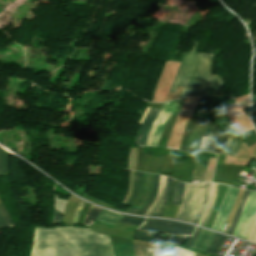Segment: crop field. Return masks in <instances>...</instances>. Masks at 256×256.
<instances>
[{"mask_svg":"<svg viewBox=\"0 0 256 256\" xmlns=\"http://www.w3.org/2000/svg\"><path fill=\"white\" fill-rule=\"evenodd\" d=\"M158 182H159V176L154 175L153 178V186H152V192H151V196L149 201L147 202V204L137 213L139 215H143L144 212L148 209V207L152 204V202L154 201L156 195H157V191H158Z\"/></svg>","mask_w":256,"mask_h":256,"instance_id":"14","label":"crop field"},{"mask_svg":"<svg viewBox=\"0 0 256 256\" xmlns=\"http://www.w3.org/2000/svg\"><path fill=\"white\" fill-rule=\"evenodd\" d=\"M250 193V192H249ZM256 215V192H251L242 210L233 236L246 238L252 221Z\"/></svg>","mask_w":256,"mask_h":256,"instance_id":"5","label":"crop field"},{"mask_svg":"<svg viewBox=\"0 0 256 256\" xmlns=\"http://www.w3.org/2000/svg\"><path fill=\"white\" fill-rule=\"evenodd\" d=\"M138 211H139V209L132 207L131 210L129 211V213L136 214Z\"/></svg>","mask_w":256,"mask_h":256,"instance_id":"32","label":"crop field"},{"mask_svg":"<svg viewBox=\"0 0 256 256\" xmlns=\"http://www.w3.org/2000/svg\"><path fill=\"white\" fill-rule=\"evenodd\" d=\"M184 186H185L184 183H181V182H178V181L176 182V185H175L176 188H175V191H174V196H173L172 203L180 205L182 195H183V191H184Z\"/></svg>","mask_w":256,"mask_h":256,"instance_id":"18","label":"crop field"},{"mask_svg":"<svg viewBox=\"0 0 256 256\" xmlns=\"http://www.w3.org/2000/svg\"><path fill=\"white\" fill-rule=\"evenodd\" d=\"M224 239L225 236L216 233V235L211 240L209 246L206 248L205 252L215 254V252L217 251V249L219 248Z\"/></svg>","mask_w":256,"mask_h":256,"instance_id":"15","label":"crop field"},{"mask_svg":"<svg viewBox=\"0 0 256 256\" xmlns=\"http://www.w3.org/2000/svg\"><path fill=\"white\" fill-rule=\"evenodd\" d=\"M246 240L256 242V217H255L254 222L250 228V231H249V234H248Z\"/></svg>","mask_w":256,"mask_h":256,"instance_id":"23","label":"crop field"},{"mask_svg":"<svg viewBox=\"0 0 256 256\" xmlns=\"http://www.w3.org/2000/svg\"><path fill=\"white\" fill-rule=\"evenodd\" d=\"M228 137V135L223 134L222 131L214 124L210 132L205 150L222 154Z\"/></svg>","mask_w":256,"mask_h":256,"instance_id":"7","label":"crop field"},{"mask_svg":"<svg viewBox=\"0 0 256 256\" xmlns=\"http://www.w3.org/2000/svg\"><path fill=\"white\" fill-rule=\"evenodd\" d=\"M148 109L149 108L146 109V111L140 121V124H141L144 116L146 115ZM157 113H158V110L150 108L146 117L144 118V120L138 130V133L136 135V140L134 142V143L138 144L139 147H144L147 131H148L152 121L154 120L155 116L157 115Z\"/></svg>","mask_w":256,"mask_h":256,"instance_id":"8","label":"crop field"},{"mask_svg":"<svg viewBox=\"0 0 256 256\" xmlns=\"http://www.w3.org/2000/svg\"><path fill=\"white\" fill-rule=\"evenodd\" d=\"M217 188H218V185H216V184H213V185H212L210 202H209L207 211H206V213H205V216H204L202 222L200 223V225H202V226L205 225V223H206V221H207V219H208V217H209V214H210V212H211V209H212V207H213V204H214V202H215V200H216Z\"/></svg>","mask_w":256,"mask_h":256,"instance_id":"17","label":"crop field"},{"mask_svg":"<svg viewBox=\"0 0 256 256\" xmlns=\"http://www.w3.org/2000/svg\"><path fill=\"white\" fill-rule=\"evenodd\" d=\"M197 44L184 54L169 91L174 93L177 86H181L184 89L180 97L219 96L224 83L219 76L210 75L213 55L196 53Z\"/></svg>","mask_w":256,"mask_h":256,"instance_id":"2","label":"crop field"},{"mask_svg":"<svg viewBox=\"0 0 256 256\" xmlns=\"http://www.w3.org/2000/svg\"><path fill=\"white\" fill-rule=\"evenodd\" d=\"M176 250V256H195V252L183 249V248H178L175 247Z\"/></svg>","mask_w":256,"mask_h":256,"instance_id":"25","label":"crop field"},{"mask_svg":"<svg viewBox=\"0 0 256 256\" xmlns=\"http://www.w3.org/2000/svg\"><path fill=\"white\" fill-rule=\"evenodd\" d=\"M201 231L200 228H198L196 230V232L194 233V235L192 236V238L190 239L189 243L187 244V247H190V245L192 244V242L195 240V238L197 237V235L199 234V232Z\"/></svg>","mask_w":256,"mask_h":256,"instance_id":"30","label":"crop field"},{"mask_svg":"<svg viewBox=\"0 0 256 256\" xmlns=\"http://www.w3.org/2000/svg\"><path fill=\"white\" fill-rule=\"evenodd\" d=\"M213 124H214V123L209 122V124H208V126H207V128H206V130H205V132H204V134H203L202 141H201V144H200V147H199V148H202V149L205 148L206 141H207L209 132H210V130H211Z\"/></svg>","mask_w":256,"mask_h":256,"instance_id":"24","label":"crop field"},{"mask_svg":"<svg viewBox=\"0 0 256 256\" xmlns=\"http://www.w3.org/2000/svg\"><path fill=\"white\" fill-rule=\"evenodd\" d=\"M166 248H167V256H175L173 245L166 243Z\"/></svg>","mask_w":256,"mask_h":256,"instance_id":"29","label":"crop field"},{"mask_svg":"<svg viewBox=\"0 0 256 256\" xmlns=\"http://www.w3.org/2000/svg\"><path fill=\"white\" fill-rule=\"evenodd\" d=\"M143 175H144V173L135 172L134 182H133V190H132L130 199L126 203L127 205L133 206V204L139 198L140 192H141L142 181H143Z\"/></svg>","mask_w":256,"mask_h":256,"instance_id":"9","label":"crop field"},{"mask_svg":"<svg viewBox=\"0 0 256 256\" xmlns=\"http://www.w3.org/2000/svg\"><path fill=\"white\" fill-rule=\"evenodd\" d=\"M174 183H175V181L173 182V186H174ZM173 186H172L171 195H170L169 201H168L169 204H168V206H167V208H166V210H165V212H164V214L162 216V217L171 218V219L175 218V216L177 214V211H178V209L180 207L179 205L170 204V201H171V198H172V194H173V190H174Z\"/></svg>","mask_w":256,"mask_h":256,"instance_id":"16","label":"crop field"},{"mask_svg":"<svg viewBox=\"0 0 256 256\" xmlns=\"http://www.w3.org/2000/svg\"><path fill=\"white\" fill-rule=\"evenodd\" d=\"M172 182H173V180L168 178L166 193H165L163 199L161 200V202L159 203V205L157 206V208L151 214V216H157V217H161L162 216V214H163V212H164V210H165V208L167 206L168 196H169V192L171 190Z\"/></svg>","mask_w":256,"mask_h":256,"instance_id":"10","label":"crop field"},{"mask_svg":"<svg viewBox=\"0 0 256 256\" xmlns=\"http://www.w3.org/2000/svg\"><path fill=\"white\" fill-rule=\"evenodd\" d=\"M67 248L64 249L63 246ZM31 256H114L109 237L81 227L35 226Z\"/></svg>","mask_w":256,"mask_h":256,"instance_id":"1","label":"crop field"},{"mask_svg":"<svg viewBox=\"0 0 256 256\" xmlns=\"http://www.w3.org/2000/svg\"><path fill=\"white\" fill-rule=\"evenodd\" d=\"M166 180L167 177L165 176H160V183H159V192L158 195L155 199V201L153 202V204L149 207V209L145 212L144 215L149 216L152 211L156 208V206L158 205V203L160 202V200L162 199L164 193H165V188H166Z\"/></svg>","mask_w":256,"mask_h":256,"instance_id":"11","label":"crop field"},{"mask_svg":"<svg viewBox=\"0 0 256 256\" xmlns=\"http://www.w3.org/2000/svg\"><path fill=\"white\" fill-rule=\"evenodd\" d=\"M84 204H85V201L81 200V202L79 203L78 208H77V210L75 212L72 224H76L77 218H78V214H79L80 210L82 209V207L84 206Z\"/></svg>","mask_w":256,"mask_h":256,"instance_id":"27","label":"crop field"},{"mask_svg":"<svg viewBox=\"0 0 256 256\" xmlns=\"http://www.w3.org/2000/svg\"><path fill=\"white\" fill-rule=\"evenodd\" d=\"M248 195H249V192L246 191L245 194H244V196H243V199H242V201H241V203H240V206H239V208H238V210H237V212H236V214H235V216H234L233 223H232V225H231V227H230V229H229V232H228L229 234H232V232H233V230H234V228H235V226H236V223H237V221H238V218H239V215H240V213H241L242 207H243V205H244V203H245V201H246Z\"/></svg>","mask_w":256,"mask_h":256,"instance_id":"21","label":"crop field"},{"mask_svg":"<svg viewBox=\"0 0 256 256\" xmlns=\"http://www.w3.org/2000/svg\"><path fill=\"white\" fill-rule=\"evenodd\" d=\"M6 222L4 221L2 215L0 214V227L6 226Z\"/></svg>","mask_w":256,"mask_h":256,"instance_id":"31","label":"crop field"},{"mask_svg":"<svg viewBox=\"0 0 256 256\" xmlns=\"http://www.w3.org/2000/svg\"><path fill=\"white\" fill-rule=\"evenodd\" d=\"M194 228L192 225L181 222L147 218L139 229L190 236Z\"/></svg>","mask_w":256,"mask_h":256,"instance_id":"4","label":"crop field"},{"mask_svg":"<svg viewBox=\"0 0 256 256\" xmlns=\"http://www.w3.org/2000/svg\"><path fill=\"white\" fill-rule=\"evenodd\" d=\"M211 184H186L183 200L176 219L199 223L208 202Z\"/></svg>","mask_w":256,"mask_h":256,"instance_id":"3","label":"crop field"},{"mask_svg":"<svg viewBox=\"0 0 256 256\" xmlns=\"http://www.w3.org/2000/svg\"><path fill=\"white\" fill-rule=\"evenodd\" d=\"M239 189L228 187L227 191L225 193L224 199L221 203V206L219 208V211L217 213L216 220L212 226V229H215L217 231H222L227 218L229 216V213L232 209L234 200L236 198L237 192Z\"/></svg>","mask_w":256,"mask_h":256,"instance_id":"6","label":"crop field"},{"mask_svg":"<svg viewBox=\"0 0 256 256\" xmlns=\"http://www.w3.org/2000/svg\"><path fill=\"white\" fill-rule=\"evenodd\" d=\"M0 211H1L2 215H3V217L5 218V220L7 221L9 227L13 226L14 224L11 221V219H10L9 215L7 214L6 210L4 209L2 203H0Z\"/></svg>","mask_w":256,"mask_h":256,"instance_id":"26","label":"crop field"},{"mask_svg":"<svg viewBox=\"0 0 256 256\" xmlns=\"http://www.w3.org/2000/svg\"><path fill=\"white\" fill-rule=\"evenodd\" d=\"M155 243H156V249L145 248V247H141L133 244L134 250H135V256H159L158 242H155Z\"/></svg>","mask_w":256,"mask_h":256,"instance_id":"12","label":"crop field"},{"mask_svg":"<svg viewBox=\"0 0 256 256\" xmlns=\"http://www.w3.org/2000/svg\"><path fill=\"white\" fill-rule=\"evenodd\" d=\"M256 105V96L253 97V100H252V107Z\"/></svg>","mask_w":256,"mask_h":256,"instance_id":"33","label":"crop field"},{"mask_svg":"<svg viewBox=\"0 0 256 256\" xmlns=\"http://www.w3.org/2000/svg\"><path fill=\"white\" fill-rule=\"evenodd\" d=\"M101 210H102L101 208L91 206L83 224H85L87 226L93 224L95 218L101 212Z\"/></svg>","mask_w":256,"mask_h":256,"instance_id":"19","label":"crop field"},{"mask_svg":"<svg viewBox=\"0 0 256 256\" xmlns=\"http://www.w3.org/2000/svg\"><path fill=\"white\" fill-rule=\"evenodd\" d=\"M241 145H242V142H239L233 139L232 137H229V140L227 142V145L223 154L236 157Z\"/></svg>","mask_w":256,"mask_h":256,"instance_id":"13","label":"crop field"},{"mask_svg":"<svg viewBox=\"0 0 256 256\" xmlns=\"http://www.w3.org/2000/svg\"><path fill=\"white\" fill-rule=\"evenodd\" d=\"M144 218L125 215L119 222L125 224L140 225Z\"/></svg>","mask_w":256,"mask_h":256,"instance_id":"22","label":"crop field"},{"mask_svg":"<svg viewBox=\"0 0 256 256\" xmlns=\"http://www.w3.org/2000/svg\"><path fill=\"white\" fill-rule=\"evenodd\" d=\"M61 217H62V213L57 211V210H55L52 222H60L61 221Z\"/></svg>","mask_w":256,"mask_h":256,"instance_id":"28","label":"crop field"},{"mask_svg":"<svg viewBox=\"0 0 256 256\" xmlns=\"http://www.w3.org/2000/svg\"><path fill=\"white\" fill-rule=\"evenodd\" d=\"M4 151L0 149V175L8 174V153Z\"/></svg>","mask_w":256,"mask_h":256,"instance_id":"20","label":"crop field"}]
</instances>
